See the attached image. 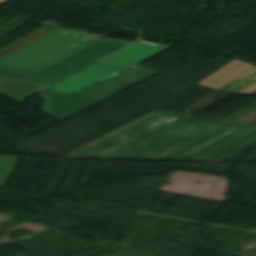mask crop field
I'll use <instances>...</instances> for the list:
<instances>
[{"mask_svg": "<svg viewBox=\"0 0 256 256\" xmlns=\"http://www.w3.org/2000/svg\"><path fill=\"white\" fill-rule=\"evenodd\" d=\"M216 122L155 111L64 157L144 159Z\"/></svg>", "mask_w": 256, "mask_h": 256, "instance_id": "8a807250", "label": "crop field"}, {"mask_svg": "<svg viewBox=\"0 0 256 256\" xmlns=\"http://www.w3.org/2000/svg\"><path fill=\"white\" fill-rule=\"evenodd\" d=\"M256 103L146 159L220 162L254 144ZM246 124V125H243Z\"/></svg>", "mask_w": 256, "mask_h": 256, "instance_id": "ac0d7876", "label": "crop field"}, {"mask_svg": "<svg viewBox=\"0 0 256 256\" xmlns=\"http://www.w3.org/2000/svg\"><path fill=\"white\" fill-rule=\"evenodd\" d=\"M101 37L60 28L0 60V65L39 71Z\"/></svg>", "mask_w": 256, "mask_h": 256, "instance_id": "34b2d1b8", "label": "crop field"}, {"mask_svg": "<svg viewBox=\"0 0 256 256\" xmlns=\"http://www.w3.org/2000/svg\"><path fill=\"white\" fill-rule=\"evenodd\" d=\"M132 43L109 38L102 39L27 80L54 85Z\"/></svg>", "mask_w": 256, "mask_h": 256, "instance_id": "412701ff", "label": "crop field"}, {"mask_svg": "<svg viewBox=\"0 0 256 256\" xmlns=\"http://www.w3.org/2000/svg\"><path fill=\"white\" fill-rule=\"evenodd\" d=\"M166 49L168 48L139 41L117 52L116 54L100 61L96 65L125 70Z\"/></svg>", "mask_w": 256, "mask_h": 256, "instance_id": "f4fd0767", "label": "crop field"}, {"mask_svg": "<svg viewBox=\"0 0 256 256\" xmlns=\"http://www.w3.org/2000/svg\"><path fill=\"white\" fill-rule=\"evenodd\" d=\"M120 71L122 70L93 65L55 85L47 91L71 95L108 77H111Z\"/></svg>", "mask_w": 256, "mask_h": 256, "instance_id": "dd49c442", "label": "crop field"}, {"mask_svg": "<svg viewBox=\"0 0 256 256\" xmlns=\"http://www.w3.org/2000/svg\"><path fill=\"white\" fill-rule=\"evenodd\" d=\"M37 97H41L45 100L43 107L44 112L59 120H62L98 102L45 92H42Z\"/></svg>", "mask_w": 256, "mask_h": 256, "instance_id": "e52e79f7", "label": "crop field"}, {"mask_svg": "<svg viewBox=\"0 0 256 256\" xmlns=\"http://www.w3.org/2000/svg\"><path fill=\"white\" fill-rule=\"evenodd\" d=\"M37 85H39V87H37ZM47 87L49 86L27 83L22 81V79L0 76V94L12 98L16 101L34 92H42V90Z\"/></svg>", "mask_w": 256, "mask_h": 256, "instance_id": "d8731c3e", "label": "crop field"}, {"mask_svg": "<svg viewBox=\"0 0 256 256\" xmlns=\"http://www.w3.org/2000/svg\"><path fill=\"white\" fill-rule=\"evenodd\" d=\"M250 67H252V65L235 60L197 85L216 90Z\"/></svg>", "mask_w": 256, "mask_h": 256, "instance_id": "5a996713", "label": "crop field"}, {"mask_svg": "<svg viewBox=\"0 0 256 256\" xmlns=\"http://www.w3.org/2000/svg\"><path fill=\"white\" fill-rule=\"evenodd\" d=\"M256 74V68L252 67L249 70H247L246 72H244L243 74L239 75L238 77H236L235 79H233L232 81H230L229 83H227L226 85L222 86L221 88H219V91H225V92H231V93H235L236 91L256 82V75L254 77H252L251 79L247 80L246 82L240 84L241 82H243L244 80L248 79L249 77H251L252 75ZM254 79L253 81H251L250 83H248L250 80ZM237 80H239L238 82H236ZM236 82V83H234ZM234 83V84H233ZM248 83V84H246ZM233 84V85H231ZM246 84V85H245ZM231 85V86H229ZM238 87H235V86ZM229 86V87H228ZM228 87V88H226ZM239 87H242L240 89H237ZM226 88V89H224ZM224 89V90H223ZM230 89H232L231 91H229Z\"/></svg>", "mask_w": 256, "mask_h": 256, "instance_id": "3316defc", "label": "crop field"}, {"mask_svg": "<svg viewBox=\"0 0 256 256\" xmlns=\"http://www.w3.org/2000/svg\"><path fill=\"white\" fill-rule=\"evenodd\" d=\"M18 159L19 157L0 156V187H3Z\"/></svg>", "mask_w": 256, "mask_h": 256, "instance_id": "28ad6ade", "label": "crop field"}, {"mask_svg": "<svg viewBox=\"0 0 256 256\" xmlns=\"http://www.w3.org/2000/svg\"><path fill=\"white\" fill-rule=\"evenodd\" d=\"M123 73L129 74L133 77H136V78L142 80L156 72L137 64V65L123 71Z\"/></svg>", "mask_w": 256, "mask_h": 256, "instance_id": "d1516ede", "label": "crop field"}, {"mask_svg": "<svg viewBox=\"0 0 256 256\" xmlns=\"http://www.w3.org/2000/svg\"><path fill=\"white\" fill-rule=\"evenodd\" d=\"M37 73H39V72H33V71H27V70H21V69L0 66V74H3V75L16 76V77H22V78L27 79Z\"/></svg>", "mask_w": 256, "mask_h": 256, "instance_id": "22f410ed", "label": "crop field"}, {"mask_svg": "<svg viewBox=\"0 0 256 256\" xmlns=\"http://www.w3.org/2000/svg\"><path fill=\"white\" fill-rule=\"evenodd\" d=\"M254 91H256V83L247 87V88H245V89H243V90H241V91H239V92H237V94L248 95V94H250Z\"/></svg>", "mask_w": 256, "mask_h": 256, "instance_id": "cbeb9de0", "label": "crop field"}, {"mask_svg": "<svg viewBox=\"0 0 256 256\" xmlns=\"http://www.w3.org/2000/svg\"><path fill=\"white\" fill-rule=\"evenodd\" d=\"M6 1H8V0H0V4L4 3Z\"/></svg>", "mask_w": 256, "mask_h": 256, "instance_id": "5142ce71", "label": "crop field"}, {"mask_svg": "<svg viewBox=\"0 0 256 256\" xmlns=\"http://www.w3.org/2000/svg\"><path fill=\"white\" fill-rule=\"evenodd\" d=\"M252 125L256 126V118H255V120H254V122H253V124H252Z\"/></svg>", "mask_w": 256, "mask_h": 256, "instance_id": "d9b57169", "label": "crop field"}]
</instances>
